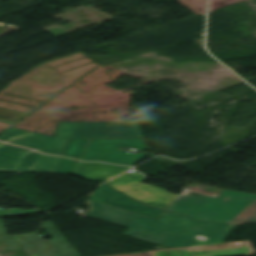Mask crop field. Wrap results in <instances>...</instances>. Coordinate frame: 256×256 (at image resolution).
<instances>
[{
  "instance_id": "crop-field-12",
  "label": "crop field",
  "mask_w": 256,
  "mask_h": 256,
  "mask_svg": "<svg viewBox=\"0 0 256 256\" xmlns=\"http://www.w3.org/2000/svg\"><path fill=\"white\" fill-rule=\"evenodd\" d=\"M26 115L27 113L0 108V121L2 122L14 124Z\"/></svg>"
},
{
  "instance_id": "crop-field-2",
  "label": "crop field",
  "mask_w": 256,
  "mask_h": 256,
  "mask_svg": "<svg viewBox=\"0 0 256 256\" xmlns=\"http://www.w3.org/2000/svg\"><path fill=\"white\" fill-rule=\"evenodd\" d=\"M69 138H144L137 122L61 123L55 137L10 128L0 140L62 156Z\"/></svg>"
},
{
  "instance_id": "crop-field-8",
  "label": "crop field",
  "mask_w": 256,
  "mask_h": 256,
  "mask_svg": "<svg viewBox=\"0 0 256 256\" xmlns=\"http://www.w3.org/2000/svg\"><path fill=\"white\" fill-rule=\"evenodd\" d=\"M41 154L0 143V171L29 172Z\"/></svg>"
},
{
  "instance_id": "crop-field-3",
  "label": "crop field",
  "mask_w": 256,
  "mask_h": 256,
  "mask_svg": "<svg viewBox=\"0 0 256 256\" xmlns=\"http://www.w3.org/2000/svg\"><path fill=\"white\" fill-rule=\"evenodd\" d=\"M255 200V194L223 190L218 197L180 195L167 210L205 222H229Z\"/></svg>"
},
{
  "instance_id": "crop-field-16",
  "label": "crop field",
  "mask_w": 256,
  "mask_h": 256,
  "mask_svg": "<svg viewBox=\"0 0 256 256\" xmlns=\"http://www.w3.org/2000/svg\"><path fill=\"white\" fill-rule=\"evenodd\" d=\"M207 241V238L196 235L188 246L203 245Z\"/></svg>"
},
{
  "instance_id": "crop-field-1",
  "label": "crop field",
  "mask_w": 256,
  "mask_h": 256,
  "mask_svg": "<svg viewBox=\"0 0 256 256\" xmlns=\"http://www.w3.org/2000/svg\"><path fill=\"white\" fill-rule=\"evenodd\" d=\"M89 216L131 228L125 234L166 245L187 246L196 235L209 238L204 244L222 243L230 224L204 223L191 217L164 211L157 220L90 200Z\"/></svg>"
},
{
  "instance_id": "crop-field-11",
  "label": "crop field",
  "mask_w": 256,
  "mask_h": 256,
  "mask_svg": "<svg viewBox=\"0 0 256 256\" xmlns=\"http://www.w3.org/2000/svg\"><path fill=\"white\" fill-rule=\"evenodd\" d=\"M89 139H70L64 156L81 159Z\"/></svg>"
},
{
  "instance_id": "crop-field-14",
  "label": "crop field",
  "mask_w": 256,
  "mask_h": 256,
  "mask_svg": "<svg viewBox=\"0 0 256 256\" xmlns=\"http://www.w3.org/2000/svg\"><path fill=\"white\" fill-rule=\"evenodd\" d=\"M37 213H41V212H39L38 210L22 211L18 209H8V210H0V217L37 214Z\"/></svg>"
},
{
  "instance_id": "crop-field-4",
  "label": "crop field",
  "mask_w": 256,
  "mask_h": 256,
  "mask_svg": "<svg viewBox=\"0 0 256 256\" xmlns=\"http://www.w3.org/2000/svg\"><path fill=\"white\" fill-rule=\"evenodd\" d=\"M53 240L38 234L7 236L0 218V251L23 249L28 256H79L51 221L42 222Z\"/></svg>"
},
{
  "instance_id": "crop-field-7",
  "label": "crop field",
  "mask_w": 256,
  "mask_h": 256,
  "mask_svg": "<svg viewBox=\"0 0 256 256\" xmlns=\"http://www.w3.org/2000/svg\"><path fill=\"white\" fill-rule=\"evenodd\" d=\"M95 201H99L105 204H109L115 207H119L128 211H132L138 214H142L148 217L157 219L163 214L164 210L152 208L144 205L131 197L118 192L110 186L103 184L98 187L91 195L90 198Z\"/></svg>"
},
{
  "instance_id": "crop-field-5",
  "label": "crop field",
  "mask_w": 256,
  "mask_h": 256,
  "mask_svg": "<svg viewBox=\"0 0 256 256\" xmlns=\"http://www.w3.org/2000/svg\"><path fill=\"white\" fill-rule=\"evenodd\" d=\"M121 147H135L147 150L143 139H91L82 161H104L107 163L133 166L145 153L138 156L118 151Z\"/></svg>"
},
{
  "instance_id": "crop-field-15",
  "label": "crop field",
  "mask_w": 256,
  "mask_h": 256,
  "mask_svg": "<svg viewBox=\"0 0 256 256\" xmlns=\"http://www.w3.org/2000/svg\"><path fill=\"white\" fill-rule=\"evenodd\" d=\"M76 161L63 158L56 173L71 174Z\"/></svg>"
},
{
  "instance_id": "crop-field-9",
  "label": "crop field",
  "mask_w": 256,
  "mask_h": 256,
  "mask_svg": "<svg viewBox=\"0 0 256 256\" xmlns=\"http://www.w3.org/2000/svg\"><path fill=\"white\" fill-rule=\"evenodd\" d=\"M127 169H129V167L103 163L77 162L72 175L85 180L105 181Z\"/></svg>"
},
{
  "instance_id": "crop-field-17",
  "label": "crop field",
  "mask_w": 256,
  "mask_h": 256,
  "mask_svg": "<svg viewBox=\"0 0 256 256\" xmlns=\"http://www.w3.org/2000/svg\"><path fill=\"white\" fill-rule=\"evenodd\" d=\"M234 224H231V226H230V231L234 228ZM230 233V232H229Z\"/></svg>"
},
{
  "instance_id": "crop-field-10",
  "label": "crop field",
  "mask_w": 256,
  "mask_h": 256,
  "mask_svg": "<svg viewBox=\"0 0 256 256\" xmlns=\"http://www.w3.org/2000/svg\"><path fill=\"white\" fill-rule=\"evenodd\" d=\"M62 157L42 155L30 172L55 173Z\"/></svg>"
},
{
  "instance_id": "crop-field-6",
  "label": "crop field",
  "mask_w": 256,
  "mask_h": 256,
  "mask_svg": "<svg viewBox=\"0 0 256 256\" xmlns=\"http://www.w3.org/2000/svg\"><path fill=\"white\" fill-rule=\"evenodd\" d=\"M143 180H145V177L134 171L131 174H124L108 182V184L147 205L164 210L178 197L177 195L166 193L167 190L141 183Z\"/></svg>"
},
{
  "instance_id": "crop-field-13",
  "label": "crop field",
  "mask_w": 256,
  "mask_h": 256,
  "mask_svg": "<svg viewBox=\"0 0 256 256\" xmlns=\"http://www.w3.org/2000/svg\"><path fill=\"white\" fill-rule=\"evenodd\" d=\"M247 220L256 221V201L250 205L244 212H242L238 217L233 221L245 222Z\"/></svg>"
}]
</instances>
